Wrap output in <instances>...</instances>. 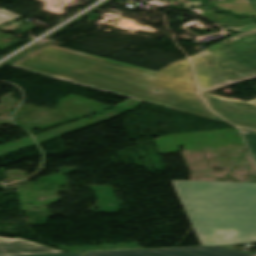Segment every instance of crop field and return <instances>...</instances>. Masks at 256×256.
Segmentation results:
<instances>
[{
  "label": "crop field",
  "instance_id": "8a807250",
  "mask_svg": "<svg viewBox=\"0 0 256 256\" xmlns=\"http://www.w3.org/2000/svg\"><path fill=\"white\" fill-rule=\"evenodd\" d=\"M11 66L225 122L199 97L187 58L155 72L61 47L46 46Z\"/></svg>",
  "mask_w": 256,
  "mask_h": 256
},
{
  "label": "crop field",
  "instance_id": "ac0d7876",
  "mask_svg": "<svg viewBox=\"0 0 256 256\" xmlns=\"http://www.w3.org/2000/svg\"><path fill=\"white\" fill-rule=\"evenodd\" d=\"M172 183L203 246L256 243V183Z\"/></svg>",
  "mask_w": 256,
  "mask_h": 256
},
{
  "label": "crop field",
  "instance_id": "34b2d1b8",
  "mask_svg": "<svg viewBox=\"0 0 256 256\" xmlns=\"http://www.w3.org/2000/svg\"><path fill=\"white\" fill-rule=\"evenodd\" d=\"M203 98L232 124L256 130V99L243 101L206 93L256 77V30L233 36L190 57ZM214 65H209V62Z\"/></svg>",
  "mask_w": 256,
  "mask_h": 256
},
{
  "label": "crop field",
  "instance_id": "412701ff",
  "mask_svg": "<svg viewBox=\"0 0 256 256\" xmlns=\"http://www.w3.org/2000/svg\"><path fill=\"white\" fill-rule=\"evenodd\" d=\"M84 256H255L219 246L84 252Z\"/></svg>",
  "mask_w": 256,
  "mask_h": 256
},
{
  "label": "crop field",
  "instance_id": "f4fd0767",
  "mask_svg": "<svg viewBox=\"0 0 256 256\" xmlns=\"http://www.w3.org/2000/svg\"><path fill=\"white\" fill-rule=\"evenodd\" d=\"M53 248L29 242L23 239H9L0 237V256L10 255H27V254H43V253H59Z\"/></svg>",
  "mask_w": 256,
  "mask_h": 256
},
{
  "label": "crop field",
  "instance_id": "dd49c442",
  "mask_svg": "<svg viewBox=\"0 0 256 256\" xmlns=\"http://www.w3.org/2000/svg\"><path fill=\"white\" fill-rule=\"evenodd\" d=\"M217 7L230 9L236 13L255 15L247 0H231L226 2L214 3Z\"/></svg>",
  "mask_w": 256,
  "mask_h": 256
},
{
  "label": "crop field",
  "instance_id": "e52e79f7",
  "mask_svg": "<svg viewBox=\"0 0 256 256\" xmlns=\"http://www.w3.org/2000/svg\"><path fill=\"white\" fill-rule=\"evenodd\" d=\"M241 129V128H240ZM244 138L246 140V143L256 161V132L241 129Z\"/></svg>",
  "mask_w": 256,
  "mask_h": 256
},
{
  "label": "crop field",
  "instance_id": "d8731c3e",
  "mask_svg": "<svg viewBox=\"0 0 256 256\" xmlns=\"http://www.w3.org/2000/svg\"><path fill=\"white\" fill-rule=\"evenodd\" d=\"M20 17L18 15L12 14L10 12H7L3 9H0V23L12 20L14 18Z\"/></svg>",
  "mask_w": 256,
  "mask_h": 256
},
{
  "label": "crop field",
  "instance_id": "5a996713",
  "mask_svg": "<svg viewBox=\"0 0 256 256\" xmlns=\"http://www.w3.org/2000/svg\"><path fill=\"white\" fill-rule=\"evenodd\" d=\"M27 256H83V252L59 253V254H43V255H27Z\"/></svg>",
  "mask_w": 256,
  "mask_h": 256
},
{
  "label": "crop field",
  "instance_id": "3316defc",
  "mask_svg": "<svg viewBox=\"0 0 256 256\" xmlns=\"http://www.w3.org/2000/svg\"><path fill=\"white\" fill-rule=\"evenodd\" d=\"M254 11H256V0H248Z\"/></svg>",
  "mask_w": 256,
  "mask_h": 256
}]
</instances>
